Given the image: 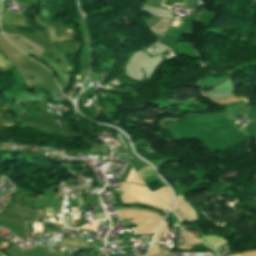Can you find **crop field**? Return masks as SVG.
<instances>
[{
  "label": "crop field",
  "mask_w": 256,
  "mask_h": 256,
  "mask_svg": "<svg viewBox=\"0 0 256 256\" xmlns=\"http://www.w3.org/2000/svg\"><path fill=\"white\" fill-rule=\"evenodd\" d=\"M13 65H14L13 63L7 61L4 57H2L0 55V68L5 70V69H7V68H9V67H11Z\"/></svg>",
  "instance_id": "crop-field-7"
},
{
  "label": "crop field",
  "mask_w": 256,
  "mask_h": 256,
  "mask_svg": "<svg viewBox=\"0 0 256 256\" xmlns=\"http://www.w3.org/2000/svg\"><path fill=\"white\" fill-rule=\"evenodd\" d=\"M172 211L177 215L180 225L185 220H197L194 210L181 197L176 198L175 206Z\"/></svg>",
  "instance_id": "crop-field-5"
},
{
  "label": "crop field",
  "mask_w": 256,
  "mask_h": 256,
  "mask_svg": "<svg viewBox=\"0 0 256 256\" xmlns=\"http://www.w3.org/2000/svg\"><path fill=\"white\" fill-rule=\"evenodd\" d=\"M37 212L22 208L14 203L5 214L0 213V226L6 228L22 241L27 242L25 221H35Z\"/></svg>",
  "instance_id": "crop-field-1"
},
{
  "label": "crop field",
  "mask_w": 256,
  "mask_h": 256,
  "mask_svg": "<svg viewBox=\"0 0 256 256\" xmlns=\"http://www.w3.org/2000/svg\"><path fill=\"white\" fill-rule=\"evenodd\" d=\"M165 226H166V221L163 223V225H162L161 229L159 228L160 230H159V232L157 233V235H156V237H155V241H154V242H156V241H158V240H159V238H160V236H161V234H162V232H163V230H164Z\"/></svg>",
  "instance_id": "crop-field-10"
},
{
  "label": "crop field",
  "mask_w": 256,
  "mask_h": 256,
  "mask_svg": "<svg viewBox=\"0 0 256 256\" xmlns=\"http://www.w3.org/2000/svg\"><path fill=\"white\" fill-rule=\"evenodd\" d=\"M153 193L168 207L171 205L172 196L168 187H162L153 191Z\"/></svg>",
  "instance_id": "crop-field-6"
},
{
  "label": "crop field",
  "mask_w": 256,
  "mask_h": 256,
  "mask_svg": "<svg viewBox=\"0 0 256 256\" xmlns=\"http://www.w3.org/2000/svg\"><path fill=\"white\" fill-rule=\"evenodd\" d=\"M167 254H171V251L167 252V253H164L162 255H159V256H163V255H167ZM167 256H173L172 254L171 255H167Z\"/></svg>",
  "instance_id": "crop-field-12"
},
{
  "label": "crop field",
  "mask_w": 256,
  "mask_h": 256,
  "mask_svg": "<svg viewBox=\"0 0 256 256\" xmlns=\"http://www.w3.org/2000/svg\"><path fill=\"white\" fill-rule=\"evenodd\" d=\"M231 256H240V254H235V255H231Z\"/></svg>",
  "instance_id": "crop-field-13"
},
{
  "label": "crop field",
  "mask_w": 256,
  "mask_h": 256,
  "mask_svg": "<svg viewBox=\"0 0 256 256\" xmlns=\"http://www.w3.org/2000/svg\"><path fill=\"white\" fill-rule=\"evenodd\" d=\"M117 212L120 218H134L131 222L140 225L133 231L134 234H152L161 221L158 215L148 212L138 210H120Z\"/></svg>",
  "instance_id": "crop-field-2"
},
{
  "label": "crop field",
  "mask_w": 256,
  "mask_h": 256,
  "mask_svg": "<svg viewBox=\"0 0 256 256\" xmlns=\"http://www.w3.org/2000/svg\"><path fill=\"white\" fill-rule=\"evenodd\" d=\"M123 189L126 193L122 196L124 202L140 201L155 207L168 210L146 187L123 184Z\"/></svg>",
  "instance_id": "crop-field-3"
},
{
  "label": "crop field",
  "mask_w": 256,
  "mask_h": 256,
  "mask_svg": "<svg viewBox=\"0 0 256 256\" xmlns=\"http://www.w3.org/2000/svg\"><path fill=\"white\" fill-rule=\"evenodd\" d=\"M158 254H160V250L158 248V245L155 244V245H152L149 253L146 256H155V255H158Z\"/></svg>",
  "instance_id": "crop-field-9"
},
{
  "label": "crop field",
  "mask_w": 256,
  "mask_h": 256,
  "mask_svg": "<svg viewBox=\"0 0 256 256\" xmlns=\"http://www.w3.org/2000/svg\"><path fill=\"white\" fill-rule=\"evenodd\" d=\"M243 256H256V251H249L242 253Z\"/></svg>",
  "instance_id": "crop-field-11"
},
{
  "label": "crop field",
  "mask_w": 256,
  "mask_h": 256,
  "mask_svg": "<svg viewBox=\"0 0 256 256\" xmlns=\"http://www.w3.org/2000/svg\"><path fill=\"white\" fill-rule=\"evenodd\" d=\"M5 250L12 256H72V254L49 252L40 244L34 246V249L30 250L20 251V248L15 245Z\"/></svg>",
  "instance_id": "crop-field-4"
},
{
  "label": "crop field",
  "mask_w": 256,
  "mask_h": 256,
  "mask_svg": "<svg viewBox=\"0 0 256 256\" xmlns=\"http://www.w3.org/2000/svg\"><path fill=\"white\" fill-rule=\"evenodd\" d=\"M181 233H182V235L186 238V241H187L188 244L200 243V241H198L197 239H195V238L189 236L188 234H186V233L183 232L182 230H181Z\"/></svg>",
  "instance_id": "crop-field-8"
}]
</instances>
